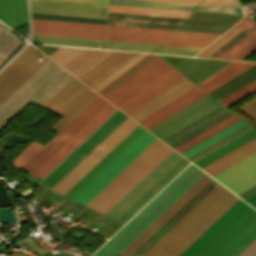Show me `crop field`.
<instances>
[{"label":"crop field","instance_id":"8a807250","mask_svg":"<svg viewBox=\"0 0 256 256\" xmlns=\"http://www.w3.org/2000/svg\"><path fill=\"white\" fill-rule=\"evenodd\" d=\"M108 103L109 102L99 96L22 168L34 174ZM116 109L115 106L109 103L34 175L29 172V176L26 177V179L37 183ZM127 117L128 116L117 109L44 178H42L38 184L43 186L47 184L53 187Z\"/></svg>","mask_w":256,"mask_h":256},{"label":"crop field","instance_id":"ac0d7876","mask_svg":"<svg viewBox=\"0 0 256 256\" xmlns=\"http://www.w3.org/2000/svg\"><path fill=\"white\" fill-rule=\"evenodd\" d=\"M238 199L220 184L144 256H178Z\"/></svg>","mask_w":256,"mask_h":256},{"label":"crop field","instance_id":"34b2d1b8","mask_svg":"<svg viewBox=\"0 0 256 256\" xmlns=\"http://www.w3.org/2000/svg\"><path fill=\"white\" fill-rule=\"evenodd\" d=\"M204 173L190 164L93 256H117Z\"/></svg>","mask_w":256,"mask_h":256},{"label":"crop field","instance_id":"412701ff","mask_svg":"<svg viewBox=\"0 0 256 256\" xmlns=\"http://www.w3.org/2000/svg\"><path fill=\"white\" fill-rule=\"evenodd\" d=\"M73 77L49 59L0 105V130L31 100L44 106Z\"/></svg>","mask_w":256,"mask_h":256},{"label":"crop field","instance_id":"f4fd0767","mask_svg":"<svg viewBox=\"0 0 256 256\" xmlns=\"http://www.w3.org/2000/svg\"><path fill=\"white\" fill-rule=\"evenodd\" d=\"M172 150L157 138L87 206L105 214Z\"/></svg>","mask_w":256,"mask_h":256},{"label":"crop field","instance_id":"dd49c442","mask_svg":"<svg viewBox=\"0 0 256 256\" xmlns=\"http://www.w3.org/2000/svg\"><path fill=\"white\" fill-rule=\"evenodd\" d=\"M188 163L189 161L173 150L106 215L125 223Z\"/></svg>","mask_w":256,"mask_h":256},{"label":"crop field","instance_id":"e52e79f7","mask_svg":"<svg viewBox=\"0 0 256 256\" xmlns=\"http://www.w3.org/2000/svg\"><path fill=\"white\" fill-rule=\"evenodd\" d=\"M256 239V210L251 206L198 256H238ZM239 256H256V240Z\"/></svg>","mask_w":256,"mask_h":256},{"label":"crop field","instance_id":"d8731c3e","mask_svg":"<svg viewBox=\"0 0 256 256\" xmlns=\"http://www.w3.org/2000/svg\"><path fill=\"white\" fill-rule=\"evenodd\" d=\"M156 138L157 137L146 130L80 193H78L73 200L86 205Z\"/></svg>","mask_w":256,"mask_h":256},{"label":"crop field","instance_id":"5a996713","mask_svg":"<svg viewBox=\"0 0 256 256\" xmlns=\"http://www.w3.org/2000/svg\"><path fill=\"white\" fill-rule=\"evenodd\" d=\"M97 95L74 77L44 106L64 116L51 129L59 132Z\"/></svg>","mask_w":256,"mask_h":256},{"label":"crop field","instance_id":"3316defc","mask_svg":"<svg viewBox=\"0 0 256 256\" xmlns=\"http://www.w3.org/2000/svg\"><path fill=\"white\" fill-rule=\"evenodd\" d=\"M138 125L139 124L128 117L61 182H59L52 191L63 195Z\"/></svg>","mask_w":256,"mask_h":256},{"label":"crop field","instance_id":"28ad6ade","mask_svg":"<svg viewBox=\"0 0 256 256\" xmlns=\"http://www.w3.org/2000/svg\"><path fill=\"white\" fill-rule=\"evenodd\" d=\"M43 55L44 54L29 44L27 48L0 73V103L48 60L46 57L40 61L39 59Z\"/></svg>","mask_w":256,"mask_h":256},{"label":"crop field","instance_id":"d1516ede","mask_svg":"<svg viewBox=\"0 0 256 256\" xmlns=\"http://www.w3.org/2000/svg\"><path fill=\"white\" fill-rule=\"evenodd\" d=\"M170 68L155 56L102 96L117 106Z\"/></svg>","mask_w":256,"mask_h":256},{"label":"crop field","instance_id":"22f410ed","mask_svg":"<svg viewBox=\"0 0 256 256\" xmlns=\"http://www.w3.org/2000/svg\"><path fill=\"white\" fill-rule=\"evenodd\" d=\"M220 106L207 95L149 131L163 140Z\"/></svg>","mask_w":256,"mask_h":256},{"label":"crop field","instance_id":"cbeb9de0","mask_svg":"<svg viewBox=\"0 0 256 256\" xmlns=\"http://www.w3.org/2000/svg\"><path fill=\"white\" fill-rule=\"evenodd\" d=\"M38 34L106 40V25L32 19Z\"/></svg>","mask_w":256,"mask_h":256},{"label":"crop field","instance_id":"5142ce71","mask_svg":"<svg viewBox=\"0 0 256 256\" xmlns=\"http://www.w3.org/2000/svg\"><path fill=\"white\" fill-rule=\"evenodd\" d=\"M29 1L31 12L106 18L107 4L61 0Z\"/></svg>","mask_w":256,"mask_h":256},{"label":"crop field","instance_id":"d9b57169","mask_svg":"<svg viewBox=\"0 0 256 256\" xmlns=\"http://www.w3.org/2000/svg\"><path fill=\"white\" fill-rule=\"evenodd\" d=\"M109 52L61 47L48 56L77 77Z\"/></svg>","mask_w":256,"mask_h":256},{"label":"crop field","instance_id":"733c2abd","mask_svg":"<svg viewBox=\"0 0 256 256\" xmlns=\"http://www.w3.org/2000/svg\"><path fill=\"white\" fill-rule=\"evenodd\" d=\"M212 178L206 173L195 182L179 199H177L161 216H159L143 233H141L125 250L118 256H130L138 249L153 233H155L169 218H171L186 202H188L203 186Z\"/></svg>","mask_w":256,"mask_h":256},{"label":"crop field","instance_id":"4a817a6b","mask_svg":"<svg viewBox=\"0 0 256 256\" xmlns=\"http://www.w3.org/2000/svg\"><path fill=\"white\" fill-rule=\"evenodd\" d=\"M183 78L172 68L117 107L129 115Z\"/></svg>","mask_w":256,"mask_h":256},{"label":"crop field","instance_id":"bc2a9ffb","mask_svg":"<svg viewBox=\"0 0 256 256\" xmlns=\"http://www.w3.org/2000/svg\"><path fill=\"white\" fill-rule=\"evenodd\" d=\"M249 206L239 199L179 256H197Z\"/></svg>","mask_w":256,"mask_h":256},{"label":"crop field","instance_id":"214f88e0","mask_svg":"<svg viewBox=\"0 0 256 256\" xmlns=\"http://www.w3.org/2000/svg\"><path fill=\"white\" fill-rule=\"evenodd\" d=\"M137 54L113 51L78 78L93 88Z\"/></svg>","mask_w":256,"mask_h":256},{"label":"crop field","instance_id":"92a150f3","mask_svg":"<svg viewBox=\"0 0 256 256\" xmlns=\"http://www.w3.org/2000/svg\"><path fill=\"white\" fill-rule=\"evenodd\" d=\"M173 32L108 25V40L163 44Z\"/></svg>","mask_w":256,"mask_h":256},{"label":"crop field","instance_id":"dafd665d","mask_svg":"<svg viewBox=\"0 0 256 256\" xmlns=\"http://www.w3.org/2000/svg\"><path fill=\"white\" fill-rule=\"evenodd\" d=\"M205 95L195 86L138 123L149 130Z\"/></svg>","mask_w":256,"mask_h":256},{"label":"crop field","instance_id":"00972430","mask_svg":"<svg viewBox=\"0 0 256 256\" xmlns=\"http://www.w3.org/2000/svg\"><path fill=\"white\" fill-rule=\"evenodd\" d=\"M146 129L138 126L121 143H119L108 155H106L96 166H94L83 178H81L64 196L72 199L93 178H95L108 164H110L123 150H125Z\"/></svg>","mask_w":256,"mask_h":256},{"label":"crop field","instance_id":"a9b5d70f","mask_svg":"<svg viewBox=\"0 0 256 256\" xmlns=\"http://www.w3.org/2000/svg\"><path fill=\"white\" fill-rule=\"evenodd\" d=\"M193 86L195 85L185 78L129 116L138 122Z\"/></svg>","mask_w":256,"mask_h":256},{"label":"crop field","instance_id":"4177f3b9","mask_svg":"<svg viewBox=\"0 0 256 256\" xmlns=\"http://www.w3.org/2000/svg\"><path fill=\"white\" fill-rule=\"evenodd\" d=\"M0 20L11 29L28 23L25 0H0Z\"/></svg>","mask_w":256,"mask_h":256},{"label":"crop field","instance_id":"730fd06b","mask_svg":"<svg viewBox=\"0 0 256 256\" xmlns=\"http://www.w3.org/2000/svg\"><path fill=\"white\" fill-rule=\"evenodd\" d=\"M254 151H256V137L201 169L212 176Z\"/></svg>","mask_w":256,"mask_h":256},{"label":"crop field","instance_id":"eef30255","mask_svg":"<svg viewBox=\"0 0 256 256\" xmlns=\"http://www.w3.org/2000/svg\"><path fill=\"white\" fill-rule=\"evenodd\" d=\"M253 64L255 63L233 61L197 85L208 93Z\"/></svg>","mask_w":256,"mask_h":256},{"label":"crop field","instance_id":"ae1a2a85","mask_svg":"<svg viewBox=\"0 0 256 256\" xmlns=\"http://www.w3.org/2000/svg\"><path fill=\"white\" fill-rule=\"evenodd\" d=\"M237 25L245 28L248 31H252L256 28V22L247 18L243 17L242 20L237 23ZM256 45V29L220 55L218 58H226V59H236L246 51L251 49ZM247 53V52H246ZM237 60V59H236Z\"/></svg>","mask_w":256,"mask_h":256},{"label":"crop field","instance_id":"d3111659","mask_svg":"<svg viewBox=\"0 0 256 256\" xmlns=\"http://www.w3.org/2000/svg\"><path fill=\"white\" fill-rule=\"evenodd\" d=\"M218 36L220 35L175 31L164 44L204 48Z\"/></svg>","mask_w":256,"mask_h":256},{"label":"crop field","instance_id":"750c4746","mask_svg":"<svg viewBox=\"0 0 256 256\" xmlns=\"http://www.w3.org/2000/svg\"><path fill=\"white\" fill-rule=\"evenodd\" d=\"M254 79H256V64L209 94L218 101Z\"/></svg>","mask_w":256,"mask_h":256},{"label":"crop field","instance_id":"bd1437ed","mask_svg":"<svg viewBox=\"0 0 256 256\" xmlns=\"http://www.w3.org/2000/svg\"><path fill=\"white\" fill-rule=\"evenodd\" d=\"M30 42L106 48V41L33 34Z\"/></svg>","mask_w":256,"mask_h":256},{"label":"crop field","instance_id":"1d83c4d3","mask_svg":"<svg viewBox=\"0 0 256 256\" xmlns=\"http://www.w3.org/2000/svg\"><path fill=\"white\" fill-rule=\"evenodd\" d=\"M109 11L154 14V15H167V16H180V17H187L189 15V13L191 12V11H186V10L150 8V7L114 5V4H109Z\"/></svg>","mask_w":256,"mask_h":256},{"label":"crop field","instance_id":"120bbe31","mask_svg":"<svg viewBox=\"0 0 256 256\" xmlns=\"http://www.w3.org/2000/svg\"><path fill=\"white\" fill-rule=\"evenodd\" d=\"M238 120L240 119L232 114L174 149L181 153Z\"/></svg>","mask_w":256,"mask_h":256},{"label":"crop field","instance_id":"d32e631a","mask_svg":"<svg viewBox=\"0 0 256 256\" xmlns=\"http://www.w3.org/2000/svg\"><path fill=\"white\" fill-rule=\"evenodd\" d=\"M254 136L256 132L252 130L194 164L201 168Z\"/></svg>","mask_w":256,"mask_h":256},{"label":"crop field","instance_id":"5866460e","mask_svg":"<svg viewBox=\"0 0 256 256\" xmlns=\"http://www.w3.org/2000/svg\"><path fill=\"white\" fill-rule=\"evenodd\" d=\"M109 3L187 9V10H193L197 6L193 4L170 3V2H159V1H148V0H109Z\"/></svg>","mask_w":256,"mask_h":256},{"label":"crop field","instance_id":"028f5c9d","mask_svg":"<svg viewBox=\"0 0 256 256\" xmlns=\"http://www.w3.org/2000/svg\"><path fill=\"white\" fill-rule=\"evenodd\" d=\"M246 123H244L243 121H238L236 123H234L233 125L227 127L226 129L218 132L217 134L211 136L210 138L204 140L203 142L197 144L196 146L188 149L187 151L181 153L182 155H184L186 158L193 155L194 153L198 152L199 150L205 148L206 146L210 145L211 143L217 141L218 139L222 138L223 136L229 134L230 132L234 131L235 129L241 127L242 125H244Z\"/></svg>","mask_w":256,"mask_h":256},{"label":"crop field","instance_id":"e1f06a70","mask_svg":"<svg viewBox=\"0 0 256 256\" xmlns=\"http://www.w3.org/2000/svg\"><path fill=\"white\" fill-rule=\"evenodd\" d=\"M108 49L155 52L161 45L108 41Z\"/></svg>","mask_w":256,"mask_h":256},{"label":"crop field","instance_id":"0bd39190","mask_svg":"<svg viewBox=\"0 0 256 256\" xmlns=\"http://www.w3.org/2000/svg\"><path fill=\"white\" fill-rule=\"evenodd\" d=\"M242 28L238 26L232 27L230 30H228L225 34H223L221 37H219L217 40H215L212 44H210L208 47H206L203 51H201L196 56L206 57L213 51H215L217 48L222 46L224 43H226L228 40L233 38L235 35H237L239 32H241Z\"/></svg>","mask_w":256,"mask_h":256},{"label":"crop field","instance_id":"b80d0937","mask_svg":"<svg viewBox=\"0 0 256 256\" xmlns=\"http://www.w3.org/2000/svg\"><path fill=\"white\" fill-rule=\"evenodd\" d=\"M256 90V80L252 81L251 83L247 84L246 86L240 88L239 90L235 91L234 93L230 94L229 96L223 98L222 100L218 101L221 104L224 105V103H227L224 106H229L233 104L234 102L240 100L241 98L247 96L248 94L254 92Z\"/></svg>","mask_w":256,"mask_h":256},{"label":"crop field","instance_id":"c035e120","mask_svg":"<svg viewBox=\"0 0 256 256\" xmlns=\"http://www.w3.org/2000/svg\"><path fill=\"white\" fill-rule=\"evenodd\" d=\"M38 143L31 142L23 152L14 160V166L18 170L23 164H25L31 157H33L40 149H42Z\"/></svg>","mask_w":256,"mask_h":256},{"label":"crop field","instance_id":"c21b1889","mask_svg":"<svg viewBox=\"0 0 256 256\" xmlns=\"http://www.w3.org/2000/svg\"><path fill=\"white\" fill-rule=\"evenodd\" d=\"M200 50L202 49L162 45L157 53L194 56Z\"/></svg>","mask_w":256,"mask_h":256},{"label":"crop field","instance_id":"03da06ac","mask_svg":"<svg viewBox=\"0 0 256 256\" xmlns=\"http://www.w3.org/2000/svg\"><path fill=\"white\" fill-rule=\"evenodd\" d=\"M145 55H147V54L140 53L139 55H137L135 58H133L131 61H129L126 65H124L122 68H120L117 72H115L113 75H111L109 78H107L104 82H102L100 85H98L93 90H95L96 92L99 91L101 88H103L109 82H111L113 79H115L117 76H119L125 70H127L129 67H131L133 64H135L137 61H139L141 58H143Z\"/></svg>","mask_w":256,"mask_h":256},{"label":"crop field","instance_id":"b54c1fbb","mask_svg":"<svg viewBox=\"0 0 256 256\" xmlns=\"http://www.w3.org/2000/svg\"><path fill=\"white\" fill-rule=\"evenodd\" d=\"M195 10L242 15L241 10L235 8L199 5Z\"/></svg>","mask_w":256,"mask_h":256},{"label":"crop field","instance_id":"5d738f31","mask_svg":"<svg viewBox=\"0 0 256 256\" xmlns=\"http://www.w3.org/2000/svg\"><path fill=\"white\" fill-rule=\"evenodd\" d=\"M201 4L240 8L237 0H204Z\"/></svg>","mask_w":256,"mask_h":256},{"label":"crop field","instance_id":"d23c7cc5","mask_svg":"<svg viewBox=\"0 0 256 256\" xmlns=\"http://www.w3.org/2000/svg\"><path fill=\"white\" fill-rule=\"evenodd\" d=\"M241 109H243L245 112L251 115L254 119H256V99L242 106Z\"/></svg>","mask_w":256,"mask_h":256},{"label":"crop field","instance_id":"425ffa30","mask_svg":"<svg viewBox=\"0 0 256 256\" xmlns=\"http://www.w3.org/2000/svg\"><path fill=\"white\" fill-rule=\"evenodd\" d=\"M159 1H170V2H182V3L199 4L202 0H159Z\"/></svg>","mask_w":256,"mask_h":256},{"label":"crop field","instance_id":"25e5ab78","mask_svg":"<svg viewBox=\"0 0 256 256\" xmlns=\"http://www.w3.org/2000/svg\"><path fill=\"white\" fill-rule=\"evenodd\" d=\"M246 201L248 204H250L251 206L256 204V194L249 197L248 199L244 200Z\"/></svg>","mask_w":256,"mask_h":256},{"label":"crop field","instance_id":"73cf0c24","mask_svg":"<svg viewBox=\"0 0 256 256\" xmlns=\"http://www.w3.org/2000/svg\"><path fill=\"white\" fill-rule=\"evenodd\" d=\"M75 1H88V2H101V3H107V0H75Z\"/></svg>","mask_w":256,"mask_h":256},{"label":"crop field","instance_id":"89e229c0","mask_svg":"<svg viewBox=\"0 0 256 256\" xmlns=\"http://www.w3.org/2000/svg\"><path fill=\"white\" fill-rule=\"evenodd\" d=\"M252 207H254V208L256 209V205H254V206H252Z\"/></svg>","mask_w":256,"mask_h":256},{"label":"crop field","instance_id":"1f2cbd36","mask_svg":"<svg viewBox=\"0 0 256 256\" xmlns=\"http://www.w3.org/2000/svg\"><path fill=\"white\" fill-rule=\"evenodd\" d=\"M1 24V23H0Z\"/></svg>","mask_w":256,"mask_h":256}]
</instances>
